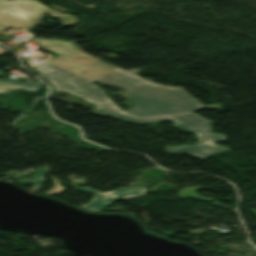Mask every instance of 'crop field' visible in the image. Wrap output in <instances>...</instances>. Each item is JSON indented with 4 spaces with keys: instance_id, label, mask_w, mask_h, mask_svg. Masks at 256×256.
Wrapping results in <instances>:
<instances>
[{
    "instance_id": "1",
    "label": "crop field",
    "mask_w": 256,
    "mask_h": 256,
    "mask_svg": "<svg viewBox=\"0 0 256 256\" xmlns=\"http://www.w3.org/2000/svg\"><path fill=\"white\" fill-rule=\"evenodd\" d=\"M29 40L61 55L33 67L42 72L38 76L49 80L56 90L67 91L97 106L95 113L139 123L171 120L175 122L174 127L198 136V144L167 148L169 154L190 153L204 159L229 150L215 145L214 141L225 140L224 135L211 134L210 125L213 123L191 113L204 106L182 88L142 79L135 75L140 71L138 69L128 73L113 70L108 64L84 54L70 42L41 38ZM92 81L127 89L122 94L134 102L135 107L127 112L119 110L99 87L90 83Z\"/></svg>"
},
{
    "instance_id": "2",
    "label": "crop field",
    "mask_w": 256,
    "mask_h": 256,
    "mask_svg": "<svg viewBox=\"0 0 256 256\" xmlns=\"http://www.w3.org/2000/svg\"><path fill=\"white\" fill-rule=\"evenodd\" d=\"M44 13L62 19L64 27L77 22L73 16L49 10L35 0H0V31L6 27L25 28L38 25Z\"/></svg>"
},
{
    "instance_id": "3",
    "label": "crop field",
    "mask_w": 256,
    "mask_h": 256,
    "mask_svg": "<svg viewBox=\"0 0 256 256\" xmlns=\"http://www.w3.org/2000/svg\"><path fill=\"white\" fill-rule=\"evenodd\" d=\"M80 191L88 192L90 194H93L95 196V199L92 200L88 205L84 206L85 208L89 210H98L103 211L110 205H112L114 202L134 197V196H142L144 195V188L140 187H130L126 189H120L115 190L106 194H99L97 192L91 191L87 188H78Z\"/></svg>"
},
{
    "instance_id": "4",
    "label": "crop field",
    "mask_w": 256,
    "mask_h": 256,
    "mask_svg": "<svg viewBox=\"0 0 256 256\" xmlns=\"http://www.w3.org/2000/svg\"><path fill=\"white\" fill-rule=\"evenodd\" d=\"M41 87V82L33 83H14L8 81H0V92H6L18 88H23L26 90H37Z\"/></svg>"
},
{
    "instance_id": "5",
    "label": "crop field",
    "mask_w": 256,
    "mask_h": 256,
    "mask_svg": "<svg viewBox=\"0 0 256 256\" xmlns=\"http://www.w3.org/2000/svg\"><path fill=\"white\" fill-rule=\"evenodd\" d=\"M200 189H204V188L201 187V186H195V187L185 188V189L179 191L178 197H179V198H192V197H194V198H199V199H201V200H206V201L211 200V199H204V198L198 196V195L196 194V192H197L198 190H200ZM207 190H212V189H207Z\"/></svg>"
},
{
    "instance_id": "6",
    "label": "crop field",
    "mask_w": 256,
    "mask_h": 256,
    "mask_svg": "<svg viewBox=\"0 0 256 256\" xmlns=\"http://www.w3.org/2000/svg\"><path fill=\"white\" fill-rule=\"evenodd\" d=\"M44 181H46L44 178L35 176V177H33V178L29 179V180H26L24 182H21V183H23V184L38 185V184H40V183H42Z\"/></svg>"
},
{
    "instance_id": "7",
    "label": "crop field",
    "mask_w": 256,
    "mask_h": 256,
    "mask_svg": "<svg viewBox=\"0 0 256 256\" xmlns=\"http://www.w3.org/2000/svg\"><path fill=\"white\" fill-rule=\"evenodd\" d=\"M53 181L55 183V187L53 189H51L50 191H48L46 194L51 195L53 193H59L62 190L66 189V188L60 186L57 180H53Z\"/></svg>"
},
{
    "instance_id": "8",
    "label": "crop field",
    "mask_w": 256,
    "mask_h": 256,
    "mask_svg": "<svg viewBox=\"0 0 256 256\" xmlns=\"http://www.w3.org/2000/svg\"><path fill=\"white\" fill-rule=\"evenodd\" d=\"M45 173H46L45 169L37 167V174L36 175L43 177L45 175Z\"/></svg>"
},
{
    "instance_id": "9",
    "label": "crop field",
    "mask_w": 256,
    "mask_h": 256,
    "mask_svg": "<svg viewBox=\"0 0 256 256\" xmlns=\"http://www.w3.org/2000/svg\"><path fill=\"white\" fill-rule=\"evenodd\" d=\"M150 229H153V228H150ZM153 230H156V229H153ZM156 231L162 232V231H160V230H156ZM178 231H184V232H186V233H190L188 230H178ZM173 232H174V231L169 232V233H164V232H162V233H164V234H166V235H172V234H174Z\"/></svg>"
},
{
    "instance_id": "10",
    "label": "crop field",
    "mask_w": 256,
    "mask_h": 256,
    "mask_svg": "<svg viewBox=\"0 0 256 256\" xmlns=\"http://www.w3.org/2000/svg\"><path fill=\"white\" fill-rule=\"evenodd\" d=\"M211 230H214V229H211ZM207 231V230H206ZM192 234H195L197 232H203V230H194V231H190Z\"/></svg>"
},
{
    "instance_id": "11",
    "label": "crop field",
    "mask_w": 256,
    "mask_h": 256,
    "mask_svg": "<svg viewBox=\"0 0 256 256\" xmlns=\"http://www.w3.org/2000/svg\"><path fill=\"white\" fill-rule=\"evenodd\" d=\"M5 52H7L6 50L0 48V55L4 54Z\"/></svg>"
},
{
    "instance_id": "12",
    "label": "crop field",
    "mask_w": 256,
    "mask_h": 256,
    "mask_svg": "<svg viewBox=\"0 0 256 256\" xmlns=\"http://www.w3.org/2000/svg\"><path fill=\"white\" fill-rule=\"evenodd\" d=\"M110 67H112L113 69H117V68H115V67H113V66H111V65H110ZM117 70H120V69H117ZM122 71H124V70H122ZM125 72H127V71H125Z\"/></svg>"
},
{
    "instance_id": "13",
    "label": "crop field",
    "mask_w": 256,
    "mask_h": 256,
    "mask_svg": "<svg viewBox=\"0 0 256 256\" xmlns=\"http://www.w3.org/2000/svg\"><path fill=\"white\" fill-rule=\"evenodd\" d=\"M251 211H253V212H255V213H256V210H255V209H252ZM255 216H256V214H255Z\"/></svg>"
}]
</instances>
